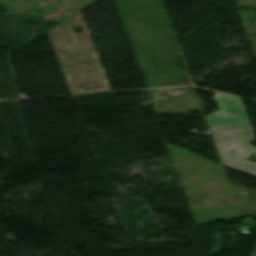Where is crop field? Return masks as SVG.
<instances>
[{
  "instance_id": "crop-field-1",
  "label": "crop field",
  "mask_w": 256,
  "mask_h": 256,
  "mask_svg": "<svg viewBox=\"0 0 256 256\" xmlns=\"http://www.w3.org/2000/svg\"><path fill=\"white\" fill-rule=\"evenodd\" d=\"M219 99L230 103L235 115L205 119L219 152L222 164L232 169L256 176V164L246 158L256 152L248 141L255 140L242 101L221 94ZM238 142V144L235 143ZM229 150H234L231 155Z\"/></svg>"
},
{
  "instance_id": "crop-field-2",
  "label": "crop field",
  "mask_w": 256,
  "mask_h": 256,
  "mask_svg": "<svg viewBox=\"0 0 256 256\" xmlns=\"http://www.w3.org/2000/svg\"><path fill=\"white\" fill-rule=\"evenodd\" d=\"M218 104H219V107L221 109L220 112L214 114V115H211V116H207L205 118H208V117H214V116H225V115H231V114H234L233 111H232V108L229 104H227L225 101H222V100H217Z\"/></svg>"
},
{
  "instance_id": "crop-field-3",
  "label": "crop field",
  "mask_w": 256,
  "mask_h": 256,
  "mask_svg": "<svg viewBox=\"0 0 256 256\" xmlns=\"http://www.w3.org/2000/svg\"><path fill=\"white\" fill-rule=\"evenodd\" d=\"M252 256H256V249H255V251H254V253H253V255Z\"/></svg>"
}]
</instances>
